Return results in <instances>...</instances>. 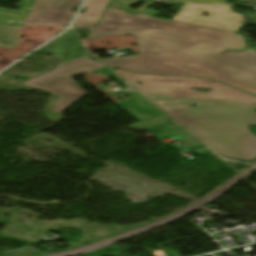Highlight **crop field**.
I'll return each mask as SVG.
<instances>
[{"mask_svg": "<svg viewBox=\"0 0 256 256\" xmlns=\"http://www.w3.org/2000/svg\"><path fill=\"white\" fill-rule=\"evenodd\" d=\"M20 27L0 25V46L14 48L18 41V30ZM2 36H5L4 38Z\"/></svg>", "mask_w": 256, "mask_h": 256, "instance_id": "9", "label": "crop field"}, {"mask_svg": "<svg viewBox=\"0 0 256 256\" xmlns=\"http://www.w3.org/2000/svg\"><path fill=\"white\" fill-rule=\"evenodd\" d=\"M73 27L88 28V39L108 35L136 36L140 53L104 59L111 67L147 74L211 78L256 95V87L234 80L229 69L207 59L246 46L239 34L127 14L110 7L97 27Z\"/></svg>", "mask_w": 256, "mask_h": 256, "instance_id": "1", "label": "crop field"}, {"mask_svg": "<svg viewBox=\"0 0 256 256\" xmlns=\"http://www.w3.org/2000/svg\"><path fill=\"white\" fill-rule=\"evenodd\" d=\"M230 69L236 80L256 86V51L249 49L209 58Z\"/></svg>", "mask_w": 256, "mask_h": 256, "instance_id": "6", "label": "crop field"}, {"mask_svg": "<svg viewBox=\"0 0 256 256\" xmlns=\"http://www.w3.org/2000/svg\"><path fill=\"white\" fill-rule=\"evenodd\" d=\"M203 12L210 15L201 16ZM174 21L236 32L246 22L244 15L231 10L230 6L185 4ZM243 20V23L240 21Z\"/></svg>", "mask_w": 256, "mask_h": 256, "instance_id": "5", "label": "crop field"}, {"mask_svg": "<svg viewBox=\"0 0 256 256\" xmlns=\"http://www.w3.org/2000/svg\"><path fill=\"white\" fill-rule=\"evenodd\" d=\"M114 71L221 156L245 161L256 157V136L248 129L256 124V96L207 79ZM198 88L212 91H193Z\"/></svg>", "mask_w": 256, "mask_h": 256, "instance_id": "2", "label": "crop field"}, {"mask_svg": "<svg viewBox=\"0 0 256 256\" xmlns=\"http://www.w3.org/2000/svg\"><path fill=\"white\" fill-rule=\"evenodd\" d=\"M124 85H126L128 87L126 90H128V91H133L134 90V89H132L133 87L131 88L130 86H128L129 84L128 85L124 84Z\"/></svg>", "mask_w": 256, "mask_h": 256, "instance_id": "14", "label": "crop field"}, {"mask_svg": "<svg viewBox=\"0 0 256 256\" xmlns=\"http://www.w3.org/2000/svg\"><path fill=\"white\" fill-rule=\"evenodd\" d=\"M177 142H179L185 148L201 145V143L199 141H197L193 137L182 139V140H178Z\"/></svg>", "mask_w": 256, "mask_h": 256, "instance_id": "10", "label": "crop field"}, {"mask_svg": "<svg viewBox=\"0 0 256 256\" xmlns=\"http://www.w3.org/2000/svg\"><path fill=\"white\" fill-rule=\"evenodd\" d=\"M249 25H256V15H254L249 21H248Z\"/></svg>", "mask_w": 256, "mask_h": 256, "instance_id": "12", "label": "crop field"}, {"mask_svg": "<svg viewBox=\"0 0 256 256\" xmlns=\"http://www.w3.org/2000/svg\"><path fill=\"white\" fill-rule=\"evenodd\" d=\"M66 36H61L55 40L57 47L53 50L58 57L62 58L60 66L53 71L23 82L31 87L59 95L58 103L53 107L55 113H63L71 105L84 97L87 92L76 85L71 79L78 74H87L93 70L104 67L103 64L88 58V52L82 44H78L74 39L77 38L72 29ZM80 49H83L80 51ZM80 54L81 58H75L73 55ZM70 63V65H67Z\"/></svg>", "mask_w": 256, "mask_h": 256, "instance_id": "3", "label": "crop field"}, {"mask_svg": "<svg viewBox=\"0 0 256 256\" xmlns=\"http://www.w3.org/2000/svg\"><path fill=\"white\" fill-rule=\"evenodd\" d=\"M110 0H86L85 14H79L75 24L96 25Z\"/></svg>", "mask_w": 256, "mask_h": 256, "instance_id": "8", "label": "crop field"}, {"mask_svg": "<svg viewBox=\"0 0 256 256\" xmlns=\"http://www.w3.org/2000/svg\"><path fill=\"white\" fill-rule=\"evenodd\" d=\"M173 1H191V2H215V3H227L225 0H173Z\"/></svg>", "mask_w": 256, "mask_h": 256, "instance_id": "11", "label": "crop field"}, {"mask_svg": "<svg viewBox=\"0 0 256 256\" xmlns=\"http://www.w3.org/2000/svg\"><path fill=\"white\" fill-rule=\"evenodd\" d=\"M80 2L81 0H21L19 6L22 8L18 12L0 8V23L13 26L67 25L73 16L70 10L72 7L79 6ZM26 6L32 7L27 9Z\"/></svg>", "mask_w": 256, "mask_h": 256, "instance_id": "4", "label": "crop field"}, {"mask_svg": "<svg viewBox=\"0 0 256 256\" xmlns=\"http://www.w3.org/2000/svg\"><path fill=\"white\" fill-rule=\"evenodd\" d=\"M177 125V123L164 115L134 125H130L129 127L133 130L143 128L152 136H159L160 138L165 139L170 136L186 133L182 127Z\"/></svg>", "mask_w": 256, "mask_h": 256, "instance_id": "7", "label": "crop field"}, {"mask_svg": "<svg viewBox=\"0 0 256 256\" xmlns=\"http://www.w3.org/2000/svg\"><path fill=\"white\" fill-rule=\"evenodd\" d=\"M244 6H253L256 7V2H251V3H247V4H243Z\"/></svg>", "mask_w": 256, "mask_h": 256, "instance_id": "13", "label": "crop field"}]
</instances>
